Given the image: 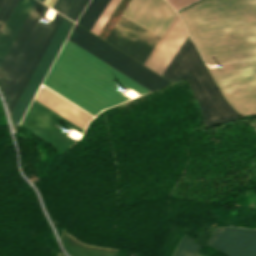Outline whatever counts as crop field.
I'll list each match as a JSON object with an SVG mask.
<instances>
[{"instance_id": "8a807250", "label": "crop field", "mask_w": 256, "mask_h": 256, "mask_svg": "<svg viewBox=\"0 0 256 256\" xmlns=\"http://www.w3.org/2000/svg\"><path fill=\"white\" fill-rule=\"evenodd\" d=\"M178 14L205 62L256 58V0H202ZM223 66L210 72L225 98L241 115L256 113V61Z\"/></svg>"}, {"instance_id": "ac0d7876", "label": "crop field", "mask_w": 256, "mask_h": 256, "mask_svg": "<svg viewBox=\"0 0 256 256\" xmlns=\"http://www.w3.org/2000/svg\"><path fill=\"white\" fill-rule=\"evenodd\" d=\"M43 84L94 116L129 99L122 87L150 92L68 39Z\"/></svg>"}, {"instance_id": "34b2d1b8", "label": "crop field", "mask_w": 256, "mask_h": 256, "mask_svg": "<svg viewBox=\"0 0 256 256\" xmlns=\"http://www.w3.org/2000/svg\"><path fill=\"white\" fill-rule=\"evenodd\" d=\"M175 15L164 0H131L121 16L161 37ZM121 16L105 41L143 64L160 37Z\"/></svg>"}, {"instance_id": "412701ff", "label": "crop field", "mask_w": 256, "mask_h": 256, "mask_svg": "<svg viewBox=\"0 0 256 256\" xmlns=\"http://www.w3.org/2000/svg\"><path fill=\"white\" fill-rule=\"evenodd\" d=\"M161 76L172 83L188 78L205 127L242 118L221 95L189 36Z\"/></svg>"}, {"instance_id": "f4fd0767", "label": "crop field", "mask_w": 256, "mask_h": 256, "mask_svg": "<svg viewBox=\"0 0 256 256\" xmlns=\"http://www.w3.org/2000/svg\"><path fill=\"white\" fill-rule=\"evenodd\" d=\"M48 7L36 0L19 33L0 65V87L8 107L56 23L43 20Z\"/></svg>"}, {"instance_id": "dd49c442", "label": "crop field", "mask_w": 256, "mask_h": 256, "mask_svg": "<svg viewBox=\"0 0 256 256\" xmlns=\"http://www.w3.org/2000/svg\"><path fill=\"white\" fill-rule=\"evenodd\" d=\"M90 53L110 64L149 90H157L170 84L141 64L106 44L94 35L75 25L69 38Z\"/></svg>"}, {"instance_id": "e52e79f7", "label": "crop field", "mask_w": 256, "mask_h": 256, "mask_svg": "<svg viewBox=\"0 0 256 256\" xmlns=\"http://www.w3.org/2000/svg\"><path fill=\"white\" fill-rule=\"evenodd\" d=\"M183 235L173 256H201V244ZM207 246L215 248L226 256H256V230L233 227L215 228Z\"/></svg>"}, {"instance_id": "d8731c3e", "label": "crop field", "mask_w": 256, "mask_h": 256, "mask_svg": "<svg viewBox=\"0 0 256 256\" xmlns=\"http://www.w3.org/2000/svg\"><path fill=\"white\" fill-rule=\"evenodd\" d=\"M34 100L20 126L64 153L69 146L76 142L67 136L64 130L73 128L79 133H82L83 130Z\"/></svg>"}, {"instance_id": "5a996713", "label": "crop field", "mask_w": 256, "mask_h": 256, "mask_svg": "<svg viewBox=\"0 0 256 256\" xmlns=\"http://www.w3.org/2000/svg\"><path fill=\"white\" fill-rule=\"evenodd\" d=\"M73 24V22L64 17L55 36L53 37L50 45L48 46L44 56L42 57L39 65L37 66L34 74L32 75L28 85L26 86L23 94L21 95L11 114L14 130L20 122L23 114L25 113L29 103L31 102L34 94L36 93L39 85L41 84Z\"/></svg>"}, {"instance_id": "3316defc", "label": "crop field", "mask_w": 256, "mask_h": 256, "mask_svg": "<svg viewBox=\"0 0 256 256\" xmlns=\"http://www.w3.org/2000/svg\"><path fill=\"white\" fill-rule=\"evenodd\" d=\"M52 92L45 87H41L35 100L84 130L87 123L92 119V116Z\"/></svg>"}, {"instance_id": "28ad6ade", "label": "crop field", "mask_w": 256, "mask_h": 256, "mask_svg": "<svg viewBox=\"0 0 256 256\" xmlns=\"http://www.w3.org/2000/svg\"><path fill=\"white\" fill-rule=\"evenodd\" d=\"M187 35L183 24L178 18L147 67L161 75Z\"/></svg>"}, {"instance_id": "d1516ede", "label": "crop field", "mask_w": 256, "mask_h": 256, "mask_svg": "<svg viewBox=\"0 0 256 256\" xmlns=\"http://www.w3.org/2000/svg\"><path fill=\"white\" fill-rule=\"evenodd\" d=\"M35 0H20L0 35V63L18 33Z\"/></svg>"}, {"instance_id": "22f410ed", "label": "crop field", "mask_w": 256, "mask_h": 256, "mask_svg": "<svg viewBox=\"0 0 256 256\" xmlns=\"http://www.w3.org/2000/svg\"><path fill=\"white\" fill-rule=\"evenodd\" d=\"M109 1L92 0L77 23L90 31Z\"/></svg>"}, {"instance_id": "cbeb9de0", "label": "crop field", "mask_w": 256, "mask_h": 256, "mask_svg": "<svg viewBox=\"0 0 256 256\" xmlns=\"http://www.w3.org/2000/svg\"><path fill=\"white\" fill-rule=\"evenodd\" d=\"M89 0H57L52 8L76 21Z\"/></svg>"}, {"instance_id": "5142ce71", "label": "crop field", "mask_w": 256, "mask_h": 256, "mask_svg": "<svg viewBox=\"0 0 256 256\" xmlns=\"http://www.w3.org/2000/svg\"><path fill=\"white\" fill-rule=\"evenodd\" d=\"M62 19H63V16L60 15V17H59L57 23L55 24V26H54L52 32L50 33V35H49V37H48L46 43L44 44V46H43L41 52L39 53V55H38L36 61L34 62V64H33L32 68H31V70L29 71V73H28L26 79L24 80V82H23V84H22L20 90L18 91V93H17L15 99L13 100V102H12L10 108H9L10 113L12 112L14 106L16 105V103H17V101H18L20 95L22 94V92H23L25 86L27 85V83H28V81H29L31 75L33 74V72H34L36 66L38 65V63H39L41 57L43 56V54H44V52H45L47 46L49 45V43H50L52 37L54 36V34H55V32H56L58 26H59L60 23H61Z\"/></svg>"}, {"instance_id": "d9b57169", "label": "crop field", "mask_w": 256, "mask_h": 256, "mask_svg": "<svg viewBox=\"0 0 256 256\" xmlns=\"http://www.w3.org/2000/svg\"><path fill=\"white\" fill-rule=\"evenodd\" d=\"M19 0H0V33Z\"/></svg>"}, {"instance_id": "733c2abd", "label": "crop field", "mask_w": 256, "mask_h": 256, "mask_svg": "<svg viewBox=\"0 0 256 256\" xmlns=\"http://www.w3.org/2000/svg\"><path fill=\"white\" fill-rule=\"evenodd\" d=\"M119 1L120 0H111L109 2V4L105 8L101 16L99 17V19L91 29V32L97 35V33L99 32V30L101 29L105 21L108 19V17L110 16V14L112 13V11L114 10V8L116 7Z\"/></svg>"}, {"instance_id": "4a817a6b", "label": "crop field", "mask_w": 256, "mask_h": 256, "mask_svg": "<svg viewBox=\"0 0 256 256\" xmlns=\"http://www.w3.org/2000/svg\"><path fill=\"white\" fill-rule=\"evenodd\" d=\"M176 10L196 1V0H166Z\"/></svg>"}, {"instance_id": "bc2a9ffb", "label": "crop field", "mask_w": 256, "mask_h": 256, "mask_svg": "<svg viewBox=\"0 0 256 256\" xmlns=\"http://www.w3.org/2000/svg\"><path fill=\"white\" fill-rule=\"evenodd\" d=\"M55 1H56V0H44L43 3H45V4H47V5H49V6L52 7V5L54 4Z\"/></svg>"}, {"instance_id": "214f88e0", "label": "crop field", "mask_w": 256, "mask_h": 256, "mask_svg": "<svg viewBox=\"0 0 256 256\" xmlns=\"http://www.w3.org/2000/svg\"><path fill=\"white\" fill-rule=\"evenodd\" d=\"M57 256H61L60 254H57Z\"/></svg>"}, {"instance_id": "92a150f3", "label": "crop field", "mask_w": 256, "mask_h": 256, "mask_svg": "<svg viewBox=\"0 0 256 256\" xmlns=\"http://www.w3.org/2000/svg\"><path fill=\"white\" fill-rule=\"evenodd\" d=\"M40 1H42V2H43V0H40Z\"/></svg>"}]
</instances>
